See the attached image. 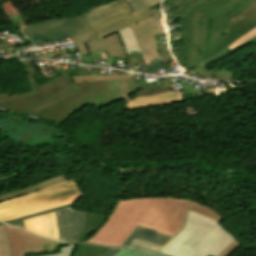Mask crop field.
Instances as JSON below:
<instances>
[{
    "label": "crop field",
    "mask_w": 256,
    "mask_h": 256,
    "mask_svg": "<svg viewBox=\"0 0 256 256\" xmlns=\"http://www.w3.org/2000/svg\"><path fill=\"white\" fill-rule=\"evenodd\" d=\"M73 248H74V245L62 247L60 252L49 254V255H42V256H70Z\"/></svg>",
    "instance_id": "30"
},
{
    "label": "crop field",
    "mask_w": 256,
    "mask_h": 256,
    "mask_svg": "<svg viewBox=\"0 0 256 256\" xmlns=\"http://www.w3.org/2000/svg\"><path fill=\"white\" fill-rule=\"evenodd\" d=\"M153 34L166 33L161 13L148 19Z\"/></svg>",
    "instance_id": "25"
},
{
    "label": "crop field",
    "mask_w": 256,
    "mask_h": 256,
    "mask_svg": "<svg viewBox=\"0 0 256 256\" xmlns=\"http://www.w3.org/2000/svg\"><path fill=\"white\" fill-rule=\"evenodd\" d=\"M142 48L145 63H149L157 58L154 39L149 27L148 20L145 19L132 26Z\"/></svg>",
    "instance_id": "12"
},
{
    "label": "crop field",
    "mask_w": 256,
    "mask_h": 256,
    "mask_svg": "<svg viewBox=\"0 0 256 256\" xmlns=\"http://www.w3.org/2000/svg\"><path fill=\"white\" fill-rule=\"evenodd\" d=\"M59 241L74 244L83 230L85 212L75 211L72 208L55 212Z\"/></svg>",
    "instance_id": "9"
},
{
    "label": "crop field",
    "mask_w": 256,
    "mask_h": 256,
    "mask_svg": "<svg viewBox=\"0 0 256 256\" xmlns=\"http://www.w3.org/2000/svg\"><path fill=\"white\" fill-rule=\"evenodd\" d=\"M195 68L202 71L197 77L198 79L200 78V76H209V80H228L229 76H233L234 74V72H213L201 65Z\"/></svg>",
    "instance_id": "21"
},
{
    "label": "crop field",
    "mask_w": 256,
    "mask_h": 256,
    "mask_svg": "<svg viewBox=\"0 0 256 256\" xmlns=\"http://www.w3.org/2000/svg\"><path fill=\"white\" fill-rule=\"evenodd\" d=\"M77 86L81 92L53 103L30 115L61 124L88 103L101 108L112 102L103 81L80 83Z\"/></svg>",
    "instance_id": "7"
},
{
    "label": "crop field",
    "mask_w": 256,
    "mask_h": 256,
    "mask_svg": "<svg viewBox=\"0 0 256 256\" xmlns=\"http://www.w3.org/2000/svg\"><path fill=\"white\" fill-rule=\"evenodd\" d=\"M44 241H45L46 252H51V251L57 250V246H58L57 242H54V241H51V240H48L45 238H44Z\"/></svg>",
    "instance_id": "33"
},
{
    "label": "crop field",
    "mask_w": 256,
    "mask_h": 256,
    "mask_svg": "<svg viewBox=\"0 0 256 256\" xmlns=\"http://www.w3.org/2000/svg\"><path fill=\"white\" fill-rule=\"evenodd\" d=\"M246 16L252 19L254 22H256V3L250 6L248 9H246L244 12L240 13L236 18L232 19L228 23V26L225 32L231 29L234 25H236L239 21H241Z\"/></svg>",
    "instance_id": "23"
},
{
    "label": "crop field",
    "mask_w": 256,
    "mask_h": 256,
    "mask_svg": "<svg viewBox=\"0 0 256 256\" xmlns=\"http://www.w3.org/2000/svg\"><path fill=\"white\" fill-rule=\"evenodd\" d=\"M82 196L78 185L65 181L27 195L0 202V221L75 202Z\"/></svg>",
    "instance_id": "5"
},
{
    "label": "crop field",
    "mask_w": 256,
    "mask_h": 256,
    "mask_svg": "<svg viewBox=\"0 0 256 256\" xmlns=\"http://www.w3.org/2000/svg\"><path fill=\"white\" fill-rule=\"evenodd\" d=\"M191 211H194L196 213H199L201 215H204L206 217H209L211 219H214L218 222H220L223 218L215 211L212 209H209L201 204H198L194 201L191 200L190 206L188 208Z\"/></svg>",
    "instance_id": "20"
},
{
    "label": "crop field",
    "mask_w": 256,
    "mask_h": 256,
    "mask_svg": "<svg viewBox=\"0 0 256 256\" xmlns=\"http://www.w3.org/2000/svg\"><path fill=\"white\" fill-rule=\"evenodd\" d=\"M107 249L109 248L91 244H82L79 246L75 256H99Z\"/></svg>",
    "instance_id": "19"
},
{
    "label": "crop field",
    "mask_w": 256,
    "mask_h": 256,
    "mask_svg": "<svg viewBox=\"0 0 256 256\" xmlns=\"http://www.w3.org/2000/svg\"><path fill=\"white\" fill-rule=\"evenodd\" d=\"M240 243L234 239L218 256H228Z\"/></svg>",
    "instance_id": "31"
},
{
    "label": "crop field",
    "mask_w": 256,
    "mask_h": 256,
    "mask_svg": "<svg viewBox=\"0 0 256 256\" xmlns=\"http://www.w3.org/2000/svg\"><path fill=\"white\" fill-rule=\"evenodd\" d=\"M130 245H137V246L145 247V248L156 250V251L162 248V246L154 245V244L136 240V239H134Z\"/></svg>",
    "instance_id": "28"
},
{
    "label": "crop field",
    "mask_w": 256,
    "mask_h": 256,
    "mask_svg": "<svg viewBox=\"0 0 256 256\" xmlns=\"http://www.w3.org/2000/svg\"><path fill=\"white\" fill-rule=\"evenodd\" d=\"M69 207H72V204L61 206V207L54 208V209L47 210V211H43V212H40V213H36V214L20 217V218L13 219V220H10V221L5 222V223L10 224V223H14V222H17V221H21L23 219H27V218H31V217H35V216H39V215H43V214L59 211V210H62V209H65V208H69Z\"/></svg>",
    "instance_id": "27"
},
{
    "label": "crop field",
    "mask_w": 256,
    "mask_h": 256,
    "mask_svg": "<svg viewBox=\"0 0 256 256\" xmlns=\"http://www.w3.org/2000/svg\"><path fill=\"white\" fill-rule=\"evenodd\" d=\"M159 12H152L150 7L132 15L122 0H116L88 11L78 18L99 39Z\"/></svg>",
    "instance_id": "6"
},
{
    "label": "crop field",
    "mask_w": 256,
    "mask_h": 256,
    "mask_svg": "<svg viewBox=\"0 0 256 256\" xmlns=\"http://www.w3.org/2000/svg\"><path fill=\"white\" fill-rule=\"evenodd\" d=\"M233 239L218 222L188 210L183 229L160 252L169 256H217Z\"/></svg>",
    "instance_id": "3"
},
{
    "label": "crop field",
    "mask_w": 256,
    "mask_h": 256,
    "mask_svg": "<svg viewBox=\"0 0 256 256\" xmlns=\"http://www.w3.org/2000/svg\"><path fill=\"white\" fill-rule=\"evenodd\" d=\"M75 83L104 80L113 102L123 98L126 104L130 101L128 95L137 88L132 75L127 76H94V77H71ZM136 91V90H135Z\"/></svg>",
    "instance_id": "11"
},
{
    "label": "crop field",
    "mask_w": 256,
    "mask_h": 256,
    "mask_svg": "<svg viewBox=\"0 0 256 256\" xmlns=\"http://www.w3.org/2000/svg\"><path fill=\"white\" fill-rule=\"evenodd\" d=\"M183 101L179 91H171L160 95L148 96L143 98H135L131 100L125 109L141 108L148 106H156L170 104Z\"/></svg>",
    "instance_id": "14"
},
{
    "label": "crop field",
    "mask_w": 256,
    "mask_h": 256,
    "mask_svg": "<svg viewBox=\"0 0 256 256\" xmlns=\"http://www.w3.org/2000/svg\"><path fill=\"white\" fill-rule=\"evenodd\" d=\"M192 0H188L186 1L185 3L179 5V6H176L170 10H168L167 12H164L163 15H164V19H168L169 17H171L173 14H175L177 11H179L183 6H185L188 2H190Z\"/></svg>",
    "instance_id": "32"
},
{
    "label": "crop field",
    "mask_w": 256,
    "mask_h": 256,
    "mask_svg": "<svg viewBox=\"0 0 256 256\" xmlns=\"http://www.w3.org/2000/svg\"><path fill=\"white\" fill-rule=\"evenodd\" d=\"M107 216L96 215L86 212L84 219V231L78 239L77 243L84 242L90 235H92L104 222Z\"/></svg>",
    "instance_id": "17"
},
{
    "label": "crop field",
    "mask_w": 256,
    "mask_h": 256,
    "mask_svg": "<svg viewBox=\"0 0 256 256\" xmlns=\"http://www.w3.org/2000/svg\"><path fill=\"white\" fill-rule=\"evenodd\" d=\"M22 30L34 44L88 31L76 18L48 20Z\"/></svg>",
    "instance_id": "8"
},
{
    "label": "crop field",
    "mask_w": 256,
    "mask_h": 256,
    "mask_svg": "<svg viewBox=\"0 0 256 256\" xmlns=\"http://www.w3.org/2000/svg\"><path fill=\"white\" fill-rule=\"evenodd\" d=\"M134 238L162 246H164L171 239V237L166 235L137 226L122 246L129 245Z\"/></svg>",
    "instance_id": "15"
},
{
    "label": "crop field",
    "mask_w": 256,
    "mask_h": 256,
    "mask_svg": "<svg viewBox=\"0 0 256 256\" xmlns=\"http://www.w3.org/2000/svg\"><path fill=\"white\" fill-rule=\"evenodd\" d=\"M65 180H67L65 175L61 174L59 176L52 177V178H49V179H47L43 182L37 183V184H35V185H33L29 188H25V189H21V190H17V191H13V192H10V193H7V194L0 195V201L7 200V199H10L12 197L24 195L26 193L51 186L53 184H56V183H59V182L65 181Z\"/></svg>",
    "instance_id": "16"
},
{
    "label": "crop field",
    "mask_w": 256,
    "mask_h": 256,
    "mask_svg": "<svg viewBox=\"0 0 256 256\" xmlns=\"http://www.w3.org/2000/svg\"><path fill=\"white\" fill-rule=\"evenodd\" d=\"M256 36V28L253 29L252 31H250L249 33H247L246 35H244L243 37H241L238 41H236L233 45H231L230 47H228L230 50L235 48L236 46H238L239 44L249 40L250 38Z\"/></svg>",
    "instance_id": "29"
},
{
    "label": "crop field",
    "mask_w": 256,
    "mask_h": 256,
    "mask_svg": "<svg viewBox=\"0 0 256 256\" xmlns=\"http://www.w3.org/2000/svg\"><path fill=\"white\" fill-rule=\"evenodd\" d=\"M27 231L34 232L58 241L54 214H47L24 220Z\"/></svg>",
    "instance_id": "13"
},
{
    "label": "crop field",
    "mask_w": 256,
    "mask_h": 256,
    "mask_svg": "<svg viewBox=\"0 0 256 256\" xmlns=\"http://www.w3.org/2000/svg\"><path fill=\"white\" fill-rule=\"evenodd\" d=\"M161 85L159 87H154V88H146L140 91L136 97H143V96H148V95H154V94H159L167 91H171L172 89L169 87L167 88L165 81L163 78H158Z\"/></svg>",
    "instance_id": "24"
},
{
    "label": "crop field",
    "mask_w": 256,
    "mask_h": 256,
    "mask_svg": "<svg viewBox=\"0 0 256 256\" xmlns=\"http://www.w3.org/2000/svg\"><path fill=\"white\" fill-rule=\"evenodd\" d=\"M6 234L11 246L12 256L45 252L43 238L23 230L5 225Z\"/></svg>",
    "instance_id": "10"
},
{
    "label": "crop field",
    "mask_w": 256,
    "mask_h": 256,
    "mask_svg": "<svg viewBox=\"0 0 256 256\" xmlns=\"http://www.w3.org/2000/svg\"><path fill=\"white\" fill-rule=\"evenodd\" d=\"M116 256H165L162 254L154 253L137 247H126Z\"/></svg>",
    "instance_id": "22"
},
{
    "label": "crop field",
    "mask_w": 256,
    "mask_h": 256,
    "mask_svg": "<svg viewBox=\"0 0 256 256\" xmlns=\"http://www.w3.org/2000/svg\"><path fill=\"white\" fill-rule=\"evenodd\" d=\"M255 2L256 0H194L177 12L184 36V45H181L179 53L180 69H189L192 17L196 11L213 17L210 40L203 59L205 62L256 26V23L246 17L223 35L227 22Z\"/></svg>",
    "instance_id": "2"
},
{
    "label": "crop field",
    "mask_w": 256,
    "mask_h": 256,
    "mask_svg": "<svg viewBox=\"0 0 256 256\" xmlns=\"http://www.w3.org/2000/svg\"><path fill=\"white\" fill-rule=\"evenodd\" d=\"M123 248L125 247H121V248H110L109 250H107L105 253H103L101 256H115L117 253H119Z\"/></svg>",
    "instance_id": "34"
},
{
    "label": "crop field",
    "mask_w": 256,
    "mask_h": 256,
    "mask_svg": "<svg viewBox=\"0 0 256 256\" xmlns=\"http://www.w3.org/2000/svg\"><path fill=\"white\" fill-rule=\"evenodd\" d=\"M131 13L142 11L150 6L159 5L161 0H123Z\"/></svg>",
    "instance_id": "18"
},
{
    "label": "crop field",
    "mask_w": 256,
    "mask_h": 256,
    "mask_svg": "<svg viewBox=\"0 0 256 256\" xmlns=\"http://www.w3.org/2000/svg\"><path fill=\"white\" fill-rule=\"evenodd\" d=\"M189 203L170 197L118 200L108 220L85 242L121 246L137 225L173 237L185 220Z\"/></svg>",
    "instance_id": "1"
},
{
    "label": "crop field",
    "mask_w": 256,
    "mask_h": 256,
    "mask_svg": "<svg viewBox=\"0 0 256 256\" xmlns=\"http://www.w3.org/2000/svg\"><path fill=\"white\" fill-rule=\"evenodd\" d=\"M0 225H5V224L0 223Z\"/></svg>",
    "instance_id": "36"
},
{
    "label": "crop field",
    "mask_w": 256,
    "mask_h": 256,
    "mask_svg": "<svg viewBox=\"0 0 256 256\" xmlns=\"http://www.w3.org/2000/svg\"><path fill=\"white\" fill-rule=\"evenodd\" d=\"M0 256H11L10 246L3 226H0Z\"/></svg>",
    "instance_id": "26"
},
{
    "label": "crop field",
    "mask_w": 256,
    "mask_h": 256,
    "mask_svg": "<svg viewBox=\"0 0 256 256\" xmlns=\"http://www.w3.org/2000/svg\"><path fill=\"white\" fill-rule=\"evenodd\" d=\"M30 91L24 94H0V108L30 114L62 98L79 92L75 83H71L67 74L54 77L37 86L24 61H20Z\"/></svg>",
    "instance_id": "4"
},
{
    "label": "crop field",
    "mask_w": 256,
    "mask_h": 256,
    "mask_svg": "<svg viewBox=\"0 0 256 256\" xmlns=\"http://www.w3.org/2000/svg\"><path fill=\"white\" fill-rule=\"evenodd\" d=\"M10 225H14V226L20 227V228H22V229H24V230H25V228H24V224H23V222H22V221H21V222L14 223V224H10Z\"/></svg>",
    "instance_id": "35"
}]
</instances>
